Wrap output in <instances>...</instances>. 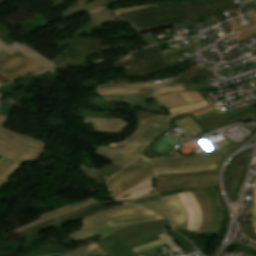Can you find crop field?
<instances>
[{
  "label": "crop field",
  "instance_id": "crop-field-36",
  "mask_svg": "<svg viewBox=\"0 0 256 256\" xmlns=\"http://www.w3.org/2000/svg\"><path fill=\"white\" fill-rule=\"evenodd\" d=\"M181 91H185L182 84L170 85V86H165L158 89L156 95L169 94V93L181 92Z\"/></svg>",
  "mask_w": 256,
  "mask_h": 256
},
{
  "label": "crop field",
  "instance_id": "crop-field-41",
  "mask_svg": "<svg viewBox=\"0 0 256 256\" xmlns=\"http://www.w3.org/2000/svg\"><path fill=\"white\" fill-rule=\"evenodd\" d=\"M183 204L185 205L186 209H187V212L189 214V222H188V228L187 230H190L192 231V226H193V212H192V209H191V206L187 200V198L184 196L183 193H180L179 194Z\"/></svg>",
  "mask_w": 256,
  "mask_h": 256
},
{
  "label": "crop field",
  "instance_id": "crop-field-42",
  "mask_svg": "<svg viewBox=\"0 0 256 256\" xmlns=\"http://www.w3.org/2000/svg\"><path fill=\"white\" fill-rule=\"evenodd\" d=\"M246 109H248L251 114H255V115H256V109L254 108V106L249 107V105L244 106V107H241V108L236 109V110L231 111V112H229L228 110L222 111V112H219V114H220L223 118H225V117H227V116L233 115V114H235V113L241 112V111L246 110Z\"/></svg>",
  "mask_w": 256,
  "mask_h": 256
},
{
  "label": "crop field",
  "instance_id": "crop-field-39",
  "mask_svg": "<svg viewBox=\"0 0 256 256\" xmlns=\"http://www.w3.org/2000/svg\"><path fill=\"white\" fill-rule=\"evenodd\" d=\"M160 216H154V217H143V218H128V219H122L114 222H110L111 225H118V224H124V223H131V222H142V221H148V220H154V219H160Z\"/></svg>",
  "mask_w": 256,
  "mask_h": 256
},
{
  "label": "crop field",
  "instance_id": "crop-field-54",
  "mask_svg": "<svg viewBox=\"0 0 256 256\" xmlns=\"http://www.w3.org/2000/svg\"><path fill=\"white\" fill-rule=\"evenodd\" d=\"M156 254H159V252L157 251L156 248L151 249V250L146 251V252H143L144 256H153V255H156Z\"/></svg>",
  "mask_w": 256,
  "mask_h": 256
},
{
  "label": "crop field",
  "instance_id": "crop-field-56",
  "mask_svg": "<svg viewBox=\"0 0 256 256\" xmlns=\"http://www.w3.org/2000/svg\"><path fill=\"white\" fill-rule=\"evenodd\" d=\"M244 233H245L248 237H250V238L256 240V235L250 233L248 230L244 231Z\"/></svg>",
  "mask_w": 256,
  "mask_h": 256
},
{
  "label": "crop field",
  "instance_id": "crop-field-47",
  "mask_svg": "<svg viewBox=\"0 0 256 256\" xmlns=\"http://www.w3.org/2000/svg\"><path fill=\"white\" fill-rule=\"evenodd\" d=\"M106 253L102 251L99 247L81 255V256H104Z\"/></svg>",
  "mask_w": 256,
  "mask_h": 256
},
{
  "label": "crop field",
  "instance_id": "crop-field-14",
  "mask_svg": "<svg viewBox=\"0 0 256 256\" xmlns=\"http://www.w3.org/2000/svg\"><path fill=\"white\" fill-rule=\"evenodd\" d=\"M162 199L173 217L175 226L186 230L188 214L178 194L163 196Z\"/></svg>",
  "mask_w": 256,
  "mask_h": 256
},
{
  "label": "crop field",
  "instance_id": "crop-field-38",
  "mask_svg": "<svg viewBox=\"0 0 256 256\" xmlns=\"http://www.w3.org/2000/svg\"><path fill=\"white\" fill-rule=\"evenodd\" d=\"M174 240L184 249H190L189 247L193 246L188 241H186L180 234L176 233L175 231L167 232Z\"/></svg>",
  "mask_w": 256,
  "mask_h": 256
},
{
  "label": "crop field",
  "instance_id": "crop-field-10",
  "mask_svg": "<svg viewBox=\"0 0 256 256\" xmlns=\"http://www.w3.org/2000/svg\"><path fill=\"white\" fill-rule=\"evenodd\" d=\"M41 68H43L41 65L26 58L18 51L0 62V73L12 80L20 75L36 72Z\"/></svg>",
  "mask_w": 256,
  "mask_h": 256
},
{
  "label": "crop field",
  "instance_id": "crop-field-17",
  "mask_svg": "<svg viewBox=\"0 0 256 256\" xmlns=\"http://www.w3.org/2000/svg\"><path fill=\"white\" fill-rule=\"evenodd\" d=\"M94 127L101 133L116 134L124 129L128 124L124 120H109L99 118H87Z\"/></svg>",
  "mask_w": 256,
  "mask_h": 256
},
{
  "label": "crop field",
  "instance_id": "crop-field-12",
  "mask_svg": "<svg viewBox=\"0 0 256 256\" xmlns=\"http://www.w3.org/2000/svg\"><path fill=\"white\" fill-rule=\"evenodd\" d=\"M20 51L22 54L25 56L31 58L32 60L40 63L43 65L45 68L42 70H39L37 73H42L45 71H48L52 69L54 64L49 61L47 58H45L43 55L39 54L38 52L34 51L33 49L19 43L18 41L13 43L12 45L8 46L0 41V61L3 60L4 58L8 57L15 51ZM39 64V65H40ZM36 74V73H34Z\"/></svg>",
  "mask_w": 256,
  "mask_h": 256
},
{
  "label": "crop field",
  "instance_id": "crop-field-40",
  "mask_svg": "<svg viewBox=\"0 0 256 256\" xmlns=\"http://www.w3.org/2000/svg\"><path fill=\"white\" fill-rule=\"evenodd\" d=\"M160 245H163V243H162V241L160 239H158V240L146 243L144 245L132 248V250L135 253H140V252L146 251L148 249H151V248H154V247H157V246H160Z\"/></svg>",
  "mask_w": 256,
  "mask_h": 256
},
{
  "label": "crop field",
  "instance_id": "crop-field-45",
  "mask_svg": "<svg viewBox=\"0 0 256 256\" xmlns=\"http://www.w3.org/2000/svg\"><path fill=\"white\" fill-rule=\"evenodd\" d=\"M119 168L120 167H118V166L114 165L113 163H111V164H108V165L100 168L99 170H101L103 173H105L108 176L107 178H109V176L111 174H113L115 171H117Z\"/></svg>",
  "mask_w": 256,
  "mask_h": 256
},
{
  "label": "crop field",
  "instance_id": "crop-field-16",
  "mask_svg": "<svg viewBox=\"0 0 256 256\" xmlns=\"http://www.w3.org/2000/svg\"><path fill=\"white\" fill-rule=\"evenodd\" d=\"M128 203H135L150 208L158 212L163 217L170 219L172 222V217L169 211L167 210L166 206L164 205V203L162 202L161 198L157 193L136 200H132L131 202Z\"/></svg>",
  "mask_w": 256,
  "mask_h": 256
},
{
  "label": "crop field",
  "instance_id": "crop-field-26",
  "mask_svg": "<svg viewBox=\"0 0 256 256\" xmlns=\"http://www.w3.org/2000/svg\"><path fill=\"white\" fill-rule=\"evenodd\" d=\"M97 201L98 200H96L94 198H90L86 201H82V202H79L77 204H72V205H69V206L61 207V208L56 209L54 211L41 214L40 216H42L44 218V220H46V219H49V218H52V217H56V216L68 213L70 211H73L75 209H78V208L83 207L87 204L94 203V202H97Z\"/></svg>",
  "mask_w": 256,
  "mask_h": 256
},
{
  "label": "crop field",
  "instance_id": "crop-field-35",
  "mask_svg": "<svg viewBox=\"0 0 256 256\" xmlns=\"http://www.w3.org/2000/svg\"><path fill=\"white\" fill-rule=\"evenodd\" d=\"M55 223H58L57 220H56V218L51 219V220H48V221H46V222H44V223H42V224H39V225H37V226H35V227L29 229V230L22 231V232H18L17 234H18L19 237H21V236H24V235L33 233V232H35V231H38V230H40V229H42V228H44V227H47V226H49V225H51V224H55Z\"/></svg>",
  "mask_w": 256,
  "mask_h": 256
},
{
  "label": "crop field",
  "instance_id": "crop-field-62",
  "mask_svg": "<svg viewBox=\"0 0 256 256\" xmlns=\"http://www.w3.org/2000/svg\"><path fill=\"white\" fill-rule=\"evenodd\" d=\"M243 2H245L244 0H242Z\"/></svg>",
  "mask_w": 256,
  "mask_h": 256
},
{
  "label": "crop field",
  "instance_id": "crop-field-43",
  "mask_svg": "<svg viewBox=\"0 0 256 256\" xmlns=\"http://www.w3.org/2000/svg\"><path fill=\"white\" fill-rule=\"evenodd\" d=\"M11 34H13V33L11 31H9L4 25H2L0 23V40L9 44V45L12 44L15 41L7 38Z\"/></svg>",
  "mask_w": 256,
  "mask_h": 256
},
{
  "label": "crop field",
  "instance_id": "crop-field-27",
  "mask_svg": "<svg viewBox=\"0 0 256 256\" xmlns=\"http://www.w3.org/2000/svg\"><path fill=\"white\" fill-rule=\"evenodd\" d=\"M119 20L121 19L117 15L115 16L110 8L90 16V22L94 27L105 22H115Z\"/></svg>",
  "mask_w": 256,
  "mask_h": 256
},
{
  "label": "crop field",
  "instance_id": "crop-field-20",
  "mask_svg": "<svg viewBox=\"0 0 256 256\" xmlns=\"http://www.w3.org/2000/svg\"><path fill=\"white\" fill-rule=\"evenodd\" d=\"M147 162H148L147 160L143 159L142 157H139L130 165L125 167L123 170L111 176V178L107 181V186L109 191H111L120 180H122L124 177H126L131 172H133L134 170H136L137 168H139L140 166L144 165Z\"/></svg>",
  "mask_w": 256,
  "mask_h": 256
},
{
  "label": "crop field",
  "instance_id": "crop-field-57",
  "mask_svg": "<svg viewBox=\"0 0 256 256\" xmlns=\"http://www.w3.org/2000/svg\"><path fill=\"white\" fill-rule=\"evenodd\" d=\"M252 205H256V186H255V189H254V196H253Z\"/></svg>",
  "mask_w": 256,
  "mask_h": 256
},
{
  "label": "crop field",
  "instance_id": "crop-field-25",
  "mask_svg": "<svg viewBox=\"0 0 256 256\" xmlns=\"http://www.w3.org/2000/svg\"><path fill=\"white\" fill-rule=\"evenodd\" d=\"M126 225H129V224L118 225V226H110L109 223H106L103 226H101V227H99V228H97V229H95V230H93V231H91L87 234L81 235L77 238H73L70 241H71V244H73V243H76V242H79V241L97 236L98 234L103 237L104 235H106V234H108V233H110V232H112V231H114L118 228L126 226Z\"/></svg>",
  "mask_w": 256,
  "mask_h": 256
},
{
  "label": "crop field",
  "instance_id": "crop-field-22",
  "mask_svg": "<svg viewBox=\"0 0 256 256\" xmlns=\"http://www.w3.org/2000/svg\"><path fill=\"white\" fill-rule=\"evenodd\" d=\"M23 165V163L4 158L0 162V185L18 172Z\"/></svg>",
  "mask_w": 256,
  "mask_h": 256
},
{
  "label": "crop field",
  "instance_id": "crop-field-64",
  "mask_svg": "<svg viewBox=\"0 0 256 256\" xmlns=\"http://www.w3.org/2000/svg\"><path fill=\"white\" fill-rule=\"evenodd\" d=\"M1 85V84H0Z\"/></svg>",
  "mask_w": 256,
  "mask_h": 256
},
{
  "label": "crop field",
  "instance_id": "crop-field-32",
  "mask_svg": "<svg viewBox=\"0 0 256 256\" xmlns=\"http://www.w3.org/2000/svg\"><path fill=\"white\" fill-rule=\"evenodd\" d=\"M67 250H64L59 247H43L39 248L25 256H41V255H48V254H56V253H61L64 254Z\"/></svg>",
  "mask_w": 256,
  "mask_h": 256
},
{
  "label": "crop field",
  "instance_id": "crop-field-24",
  "mask_svg": "<svg viewBox=\"0 0 256 256\" xmlns=\"http://www.w3.org/2000/svg\"><path fill=\"white\" fill-rule=\"evenodd\" d=\"M216 174V169L208 171H198V172H186V173H173V174H155L156 182L181 179L193 176H202V175H213Z\"/></svg>",
  "mask_w": 256,
  "mask_h": 256
},
{
  "label": "crop field",
  "instance_id": "crop-field-3",
  "mask_svg": "<svg viewBox=\"0 0 256 256\" xmlns=\"http://www.w3.org/2000/svg\"><path fill=\"white\" fill-rule=\"evenodd\" d=\"M6 119L7 117L0 115V153L19 161L36 163L43 153L45 143L2 128Z\"/></svg>",
  "mask_w": 256,
  "mask_h": 256
},
{
  "label": "crop field",
  "instance_id": "crop-field-1",
  "mask_svg": "<svg viewBox=\"0 0 256 256\" xmlns=\"http://www.w3.org/2000/svg\"><path fill=\"white\" fill-rule=\"evenodd\" d=\"M169 223L170 222L166 219L136 223L114 231L105 238L94 242L109 256L135 255L127 246L166 231L164 226Z\"/></svg>",
  "mask_w": 256,
  "mask_h": 256
},
{
  "label": "crop field",
  "instance_id": "crop-field-11",
  "mask_svg": "<svg viewBox=\"0 0 256 256\" xmlns=\"http://www.w3.org/2000/svg\"><path fill=\"white\" fill-rule=\"evenodd\" d=\"M191 19L236 8L234 0H186Z\"/></svg>",
  "mask_w": 256,
  "mask_h": 256
},
{
  "label": "crop field",
  "instance_id": "crop-field-55",
  "mask_svg": "<svg viewBox=\"0 0 256 256\" xmlns=\"http://www.w3.org/2000/svg\"><path fill=\"white\" fill-rule=\"evenodd\" d=\"M155 239H158V236L153 237V238L148 239V240H145V241H143V242H140V243L134 244V245L129 246V247H130V248H132V247H135V246H138V245L144 244V243H146V242H149V241H152V240H155Z\"/></svg>",
  "mask_w": 256,
  "mask_h": 256
},
{
  "label": "crop field",
  "instance_id": "crop-field-15",
  "mask_svg": "<svg viewBox=\"0 0 256 256\" xmlns=\"http://www.w3.org/2000/svg\"><path fill=\"white\" fill-rule=\"evenodd\" d=\"M153 174L150 163L148 162L141 168L137 169L121 182L117 184V186L110 192L112 196L124 191L125 189L131 187L132 185L136 184L137 182L141 181L142 179L148 177L149 175Z\"/></svg>",
  "mask_w": 256,
  "mask_h": 256
},
{
  "label": "crop field",
  "instance_id": "crop-field-2",
  "mask_svg": "<svg viewBox=\"0 0 256 256\" xmlns=\"http://www.w3.org/2000/svg\"><path fill=\"white\" fill-rule=\"evenodd\" d=\"M118 16L132 22L138 32L190 21L184 3H159Z\"/></svg>",
  "mask_w": 256,
  "mask_h": 256
},
{
  "label": "crop field",
  "instance_id": "crop-field-61",
  "mask_svg": "<svg viewBox=\"0 0 256 256\" xmlns=\"http://www.w3.org/2000/svg\"><path fill=\"white\" fill-rule=\"evenodd\" d=\"M4 157H2L1 155H0V161L3 159Z\"/></svg>",
  "mask_w": 256,
  "mask_h": 256
},
{
  "label": "crop field",
  "instance_id": "crop-field-52",
  "mask_svg": "<svg viewBox=\"0 0 256 256\" xmlns=\"http://www.w3.org/2000/svg\"><path fill=\"white\" fill-rule=\"evenodd\" d=\"M100 203H103V202H98V203H96V204L87 206V207H85V208L79 209V210L74 211V212H72V213H69V214H66V215H64V216L58 217V220L63 219V218H66V217L71 216V215H73V214H76V213L81 212V211H83V210H86V209H88V208H90V207H93V206H95V205H98V204H100Z\"/></svg>",
  "mask_w": 256,
  "mask_h": 256
},
{
  "label": "crop field",
  "instance_id": "crop-field-9",
  "mask_svg": "<svg viewBox=\"0 0 256 256\" xmlns=\"http://www.w3.org/2000/svg\"><path fill=\"white\" fill-rule=\"evenodd\" d=\"M177 77V76H176ZM175 77L168 78L170 80ZM133 83V84H112L97 86L96 95L98 96H121V95H134V94H147L153 93L157 87L167 83L165 80Z\"/></svg>",
  "mask_w": 256,
  "mask_h": 256
},
{
  "label": "crop field",
  "instance_id": "crop-field-58",
  "mask_svg": "<svg viewBox=\"0 0 256 256\" xmlns=\"http://www.w3.org/2000/svg\"><path fill=\"white\" fill-rule=\"evenodd\" d=\"M192 194H193V192H192ZM194 195V194H193ZM194 197H195V195H194ZM195 199H196V197H195ZM196 201H197V199H196ZM197 203H198V205H199V202L197 201ZM199 207H200V205H199ZM200 210H201V213H202V216H203V212H202V209H201V207H200ZM201 221H202V217H201ZM200 225H201V223H200ZM199 229H200V227H199ZM201 230V229H200ZM199 232V231H198Z\"/></svg>",
  "mask_w": 256,
  "mask_h": 256
},
{
  "label": "crop field",
  "instance_id": "crop-field-6",
  "mask_svg": "<svg viewBox=\"0 0 256 256\" xmlns=\"http://www.w3.org/2000/svg\"><path fill=\"white\" fill-rule=\"evenodd\" d=\"M214 188H216V185L183 190L184 192L193 191L202 206L204 216L200 232L207 231L218 235L223 209L217 201L216 190Z\"/></svg>",
  "mask_w": 256,
  "mask_h": 256
},
{
  "label": "crop field",
  "instance_id": "crop-field-50",
  "mask_svg": "<svg viewBox=\"0 0 256 256\" xmlns=\"http://www.w3.org/2000/svg\"><path fill=\"white\" fill-rule=\"evenodd\" d=\"M251 222L256 233V206H251Z\"/></svg>",
  "mask_w": 256,
  "mask_h": 256
},
{
  "label": "crop field",
  "instance_id": "crop-field-60",
  "mask_svg": "<svg viewBox=\"0 0 256 256\" xmlns=\"http://www.w3.org/2000/svg\"><path fill=\"white\" fill-rule=\"evenodd\" d=\"M243 233V232H242ZM243 235L246 237V238H248L244 233H243ZM249 240L248 241H250L251 243H255L256 244V241H254V240H252V239H250V238H248Z\"/></svg>",
  "mask_w": 256,
  "mask_h": 256
},
{
  "label": "crop field",
  "instance_id": "crop-field-7",
  "mask_svg": "<svg viewBox=\"0 0 256 256\" xmlns=\"http://www.w3.org/2000/svg\"><path fill=\"white\" fill-rule=\"evenodd\" d=\"M156 213L144 209L137 205L124 204L119 206H112L111 209L83 219V226L80 230L68 234L69 239L87 233L108 221L127 217H143L154 216Z\"/></svg>",
  "mask_w": 256,
  "mask_h": 256
},
{
  "label": "crop field",
  "instance_id": "crop-field-63",
  "mask_svg": "<svg viewBox=\"0 0 256 256\" xmlns=\"http://www.w3.org/2000/svg\"><path fill=\"white\" fill-rule=\"evenodd\" d=\"M2 95H0V97H1Z\"/></svg>",
  "mask_w": 256,
  "mask_h": 256
},
{
  "label": "crop field",
  "instance_id": "crop-field-59",
  "mask_svg": "<svg viewBox=\"0 0 256 256\" xmlns=\"http://www.w3.org/2000/svg\"><path fill=\"white\" fill-rule=\"evenodd\" d=\"M57 225V224H56ZM52 226H55V225H51V226H49V227H47V228H50V227H52ZM47 228H45V229H47ZM44 230V229H43ZM41 231V230H40ZM39 232V231H38ZM35 233H37V232H35ZM35 233H33V234H35ZM33 234H30V235H27V236H24V237H22V238H25V237H28V236H31V235H33ZM22 238H20V239H22ZM19 239V240H20Z\"/></svg>",
  "mask_w": 256,
  "mask_h": 256
},
{
  "label": "crop field",
  "instance_id": "crop-field-37",
  "mask_svg": "<svg viewBox=\"0 0 256 256\" xmlns=\"http://www.w3.org/2000/svg\"><path fill=\"white\" fill-rule=\"evenodd\" d=\"M214 113H216V111L214 110V108L212 106L203 108V109H200L197 111L190 112L191 116L194 117L196 120L206 117L208 115L214 114Z\"/></svg>",
  "mask_w": 256,
  "mask_h": 256
},
{
  "label": "crop field",
  "instance_id": "crop-field-28",
  "mask_svg": "<svg viewBox=\"0 0 256 256\" xmlns=\"http://www.w3.org/2000/svg\"><path fill=\"white\" fill-rule=\"evenodd\" d=\"M79 169L89 178H91L94 182L103 185L105 184L106 175H104L101 171L96 169H89L88 167L82 165Z\"/></svg>",
  "mask_w": 256,
  "mask_h": 256
},
{
  "label": "crop field",
  "instance_id": "crop-field-46",
  "mask_svg": "<svg viewBox=\"0 0 256 256\" xmlns=\"http://www.w3.org/2000/svg\"><path fill=\"white\" fill-rule=\"evenodd\" d=\"M42 221H44V220H43V218L40 217V218H38V219H36V220H34V221H32V222H30V223H28V224H26V225L20 227V228H17V229H15V230H13V231L7 233L6 236H8V235H10V234H13V233H16V232H18V231L25 230V229H27V228H29V227H31V226H33V225H36V224H38V223H40V222H42Z\"/></svg>",
  "mask_w": 256,
  "mask_h": 256
},
{
  "label": "crop field",
  "instance_id": "crop-field-34",
  "mask_svg": "<svg viewBox=\"0 0 256 256\" xmlns=\"http://www.w3.org/2000/svg\"><path fill=\"white\" fill-rule=\"evenodd\" d=\"M95 247H97V245L94 242H92L84 246L78 247L70 252H67L64 256H79Z\"/></svg>",
  "mask_w": 256,
  "mask_h": 256
},
{
  "label": "crop field",
  "instance_id": "crop-field-23",
  "mask_svg": "<svg viewBox=\"0 0 256 256\" xmlns=\"http://www.w3.org/2000/svg\"><path fill=\"white\" fill-rule=\"evenodd\" d=\"M248 16L253 21V23L255 25L243 29V27L241 25H239L236 20L230 22V25L232 26V27H230V29H232L236 33L235 35H233L231 37L234 38L236 41L242 40L245 37L256 33V13L248 15Z\"/></svg>",
  "mask_w": 256,
  "mask_h": 256
},
{
  "label": "crop field",
  "instance_id": "crop-field-33",
  "mask_svg": "<svg viewBox=\"0 0 256 256\" xmlns=\"http://www.w3.org/2000/svg\"><path fill=\"white\" fill-rule=\"evenodd\" d=\"M15 102H16L15 100H13L12 98H10L8 96L5 99H3L2 101H0V114L8 116L10 114L11 110L13 109V107L15 106L14 105ZM18 105H19V103H18Z\"/></svg>",
  "mask_w": 256,
  "mask_h": 256
},
{
  "label": "crop field",
  "instance_id": "crop-field-18",
  "mask_svg": "<svg viewBox=\"0 0 256 256\" xmlns=\"http://www.w3.org/2000/svg\"><path fill=\"white\" fill-rule=\"evenodd\" d=\"M249 111L246 110L244 112L238 113L236 115L230 116L228 118L223 119L218 113L208 116L206 118L198 120L199 124L204 128L205 131L213 129L215 127L221 126L223 124L229 123L241 117L249 115Z\"/></svg>",
  "mask_w": 256,
  "mask_h": 256
},
{
  "label": "crop field",
  "instance_id": "crop-field-4",
  "mask_svg": "<svg viewBox=\"0 0 256 256\" xmlns=\"http://www.w3.org/2000/svg\"><path fill=\"white\" fill-rule=\"evenodd\" d=\"M168 120L167 116H155L146 121H138L132 134L122 141L111 142L107 147L135 159L154 137L167 129Z\"/></svg>",
  "mask_w": 256,
  "mask_h": 256
},
{
  "label": "crop field",
  "instance_id": "crop-field-29",
  "mask_svg": "<svg viewBox=\"0 0 256 256\" xmlns=\"http://www.w3.org/2000/svg\"><path fill=\"white\" fill-rule=\"evenodd\" d=\"M216 168V164L195 166L189 168H175V169H154L155 173H173V172H186V171H198Z\"/></svg>",
  "mask_w": 256,
  "mask_h": 256
},
{
  "label": "crop field",
  "instance_id": "crop-field-19",
  "mask_svg": "<svg viewBox=\"0 0 256 256\" xmlns=\"http://www.w3.org/2000/svg\"><path fill=\"white\" fill-rule=\"evenodd\" d=\"M76 2H77V6L70 8L66 11L60 12L62 16L52 19V21L55 22L59 19L66 18V17H72V16L77 15L83 11L84 12L88 11V10L104 3L105 0H77Z\"/></svg>",
  "mask_w": 256,
  "mask_h": 256
},
{
  "label": "crop field",
  "instance_id": "crop-field-8",
  "mask_svg": "<svg viewBox=\"0 0 256 256\" xmlns=\"http://www.w3.org/2000/svg\"><path fill=\"white\" fill-rule=\"evenodd\" d=\"M226 147L217 151L206 154L182 157L176 152L170 156L162 159L151 161L154 168H174V167H188L194 165L213 164L217 163L221 156L229 149Z\"/></svg>",
  "mask_w": 256,
  "mask_h": 256
},
{
  "label": "crop field",
  "instance_id": "crop-field-44",
  "mask_svg": "<svg viewBox=\"0 0 256 256\" xmlns=\"http://www.w3.org/2000/svg\"><path fill=\"white\" fill-rule=\"evenodd\" d=\"M106 209H109V207H108V206H105V207H102V208H97V209H95V210H93V211H90V212L85 213V214H83V215H80V216H78V217H74V218L69 219V220H67V221H64V222H62V223H60V224L65 225V224L68 223V222H71V221H74V220H78V219H81V218H84V217H88V216H90V215L96 214V213L101 212V211H104V210H106Z\"/></svg>",
  "mask_w": 256,
  "mask_h": 256
},
{
  "label": "crop field",
  "instance_id": "crop-field-31",
  "mask_svg": "<svg viewBox=\"0 0 256 256\" xmlns=\"http://www.w3.org/2000/svg\"><path fill=\"white\" fill-rule=\"evenodd\" d=\"M185 196L188 198L191 206H192V209H193V212H194V227H193V231L197 232L198 230V226H199V222H200V217H201V214H200V210L197 206V203L194 199V197L192 196L191 192H188V193H184Z\"/></svg>",
  "mask_w": 256,
  "mask_h": 256
},
{
  "label": "crop field",
  "instance_id": "crop-field-48",
  "mask_svg": "<svg viewBox=\"0 0 256 256\" xmlns=\"http://www.w3.org/2000/svg\"><path fill=\"white\" fill-rule=\"evenodd\" d=\"M112 1H113L114 3H117V2L128 1V0H112ZM107 7H108L107 4L104 3V4L98 6V7L94 8V9L88 11L87 13H88L89 15H90V14H93V13H97V12H99V11H101V10L107 8Z\"/></svg>",
  "mask_w": 256,
  "mask_h": 256
},
{
  "label": "crop field",
  "instance_id": "crop-field-21",
  "mask_svg": "<svg viewBox=\"0 0 256 256\" xmlns=\"http://www.w3.org/2000/svg\"><path fill=\"white\" fill-rule=\"evenodd\" d=\"M95 153L111 160L113 163L121 167L134 160L124 154H121L115 150H111L103 146H99Z\"/></svg>",
  "mask_w": 256,
  "mask_h": 256
},
{
  "label": "crop field",
  "instance_id": "crop-field-13",
  "mask_svg": "<svg viewBox=\"0 0 256 256\" xmlns=\"http://www.w3.org/2000/svg\"><path fill=\"white\" fill-rule=\"evenodd\" d=\"M156 97L158 101L167 108H173L204 100L199 91L181 92Z\"/></svg>",
  "mask_w": 256,
  "mask_h": 256
},
{
  "label": "crop field",
  "instance_id": "crop-field-51",
  "mask_svg": "<svg viewBox=\"0 0 256 256\" xmlns=\"http://www.w3.org/2000/svg\"><path fill=\"white\" fill-rule=\"evenodd\" d=\"M146 6H150V5L135 6V7H128V8H118V9H116V10H113V12H114L115 15H116V14H118V13L130 11V10H134V9H138V8H142V7H146Z\"/></svg>",
  "mask_w": 256,
  "mask_h": 256
},
{
  "label": "crop field",
  "instance_id": "crop-field-53",
  "mask_svg": "<svg viewBox=\"0 0 256 256\" xmlns=\"http://www.w3.org/2000/svg\"><path fill=\"white\" fill-rule=\"evenodd\" d=\"M112 83H128L126 78L123 79H117V80H110L102 83H97V85H102V84H112Z\"/></svg>",
  "mask_w": 256,
  "mask_h": 256
},
{
  "label": "crop field",
  "instance_id": "crop-field-49",
  "mask_svg": "<svg viewBox=\"0 0 256 256\" xmlns=\"http://www.w3.org/2000/svg\"><path fill=\"white\" fill-rule=\"evenodd\" d=\"M237 249H241L249 252H256V245L248 243V244L237 247Z\"/></svg>",
  "mask_w": 256,
  "mask_h": 256
},
{
  "label": "crop field",
  "instance_id": "crop-field-30",
  "mask_svg": "<svg viewBox=\"0 0 256 256\" xmlns=\"http://www.w3.org/2000/svg\"><path fill=\"white\" fill-rule=\"evenodd\" d=\"M205 106H208V103L206 102V100L197 102L194 104L178 107V108H173V109H170L171 116L180 114V113H184V112H188V111H192V110H196V109H199V108H202Z\"/></svg>",
  "mask_w": 256,
  "mask_h": 256
},
{
  "label": "crop field",
  "instance_id": "crop-field-5",
  "mask_svg": "<svg viewBox=\"0 0 256 256\" xmlns=\"http://www.w3.org/2000/svg\"><path fill=\"white\" fill-rule=\"evenodd\" d=\"M158 47L134 52L115 62L113 68H125L127 76L139 75L166 68Z\"/></svg>",
  "mask_w": 256,
  "mask_h": 256
}]
</instances>
